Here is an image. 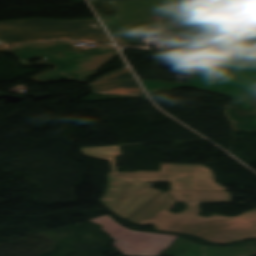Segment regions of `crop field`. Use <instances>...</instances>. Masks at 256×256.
Wrapping results in <instances>:
<instances>
[{"mask_svg":"<svg viewBox=\"0 0 256 256\" xmlns=\"http://www.w3.org/2000/svg\"><path fill=\"white\" fill-rule=\"evenodd\" d=\"M99 46L101 48L76 52L70 41H53L21 45L12 52L24 60L47 57V63L56 65L55 69L34 77L35 80L86 81L94 72L119 54L115 46Z\"/></svg>","mask_w":256,"mask_h":256,"instance_id":"f4fd0767","label":"crop field"},{"mask_svg":"<svg viewBox=\"0 0 256 256\" xmlns=\"http://www.w3.org/2000/svg\"><path fill=\"white\" fill-rule=\"evenodd\" d=\"M228 114L235 125L256 120V96L252 98H234Z\"/></svg>","mask_w":256,"mask_h":256,"instance_id":"d8731c3e","label":"crop field"},{"mask_svg":"<svg viewBox=\"0 0 256 256\" xmlns=\"http://www.w3.org/2000/svg\"><path fill=\"white\" fill-rule=\"evenodd\" d=\"M128 79L129 81L97 87L96 85ZM94 93L137 96L144 94L129 69L117 71L93 84Z\"/></svg>","mask_w":256,"mask_h":256,"instance_id":"e52e79f7","label":"crop field"},{"mask_svg":"<svg viewBox=\"0 0 256 256\" xmlns=\"http://www.w3.org/2000/svg\"><path fill=\"white\" fill-rule=\"evenodd\" d=\"M84 155L108 160L112 173L100 198L103 205L122 218H129L161 191L147 182H171V190L227 191L216 184L214 172L202 164H162L160 172L134 171L118 173L115 156L120 146L81 148Z\"/></svg>","mask_w":256,"mask_h":256,"instance_id":"ac0d7876","label":"crop field"},{"mask_svg":"<svg viewBox=\"0 0 256 256\" xmlns=\"http://www.w3.org/2000/svg\"><path fill=\"white\" fill-rule=\"evenodd\" d=\"M179 214L170 213L174 207L170 195L162 192L128 221L137 225H154V230L176 232L212 243H233L256 238V210L247 211L237 217L213 214L199 216L202 211L197 203H185Z\"/></svg>","mask_w":256,"mask_h":256,"instance_id":"34b2d1b8","label":"crop field"},{"mask_svg":"<svg viewBox=\"0 0 256 256\" xmlns=\"http://www.w3.org/2000/svg\"><path fill=\"white\" fill-rule=\"evenodd\" d=\"M236 127L240 129L248 130V131L256 130V121L237 125Z\"/></svg>","mask_w":256,"mask_h":256,"instance_id":"3316defc","label":"crop field"},{"mask_svg":"<svg viewBox=\"0 0 256 256\" xmlns=\"http://www.w3.org/2000/svg\"><path fill=\"white\" fill-rule=\"evenodd\" d=\"M148 93L203 87L231 97L256 95V37L231 42L213 72L196 73L189 84L141 80Z\"/></svg>","mask_w":256,"mask_h":256,"instance_id":"412701ff","label":"crop field"},{"mask_svg":"<svg viewBox=\"0 0 256 256\" xmlns=\"http://www.w3.org/2000/svg\"><path fill=\"white\" fill-rule=\"evenodd\" d=\"M95 1H121V0H90V2H95Z\"/></svg>","mask_w":256,"mask_h":256,"instance_id":"28ad6ade","label":"crop field"},{"mask_svg":"<svg viewBox=\"0 0 256 256\" xmlns=\"http://www.w3.org/2000/svg\"><path fill=\"white\" fill-rule=\"evenodd\" d=\"M122 27L116 43L133 44L152 27L177 36L183 48L256 34V0H134L116 2Z\"/></svg>","mask_w":256,"mask_h":256,"instance_id":"8a807250","label":"crop field"},{"mask_svg":"<svg viewBox=\"0 0 256 256\" xmlns=\"http://www.w3.org/2000/svg\"><path fill=\"white\" fill-rule=\"evenodd\" d=\"M52 39L111 43L95 19L74 21L29 19L0 22V40L10 45Z\"/></svg>","mask_w":256,"mask_h":256,"instance_id":"dd49c442","label":"crop field"},{"mask_svg":"<svg viewBox=\"0 0 256 256\" xmlns=\"http://www.w3.org/2000/svg\"><path fill=\"white\" fill-rule=\"evenodd\" d=\"M175 201L232 202L231 192L167 191Z\"/></svg>","mask_w":256,"mask_h":256,"instance_id":"5a996713","label":"crop field"}]
</instances>
